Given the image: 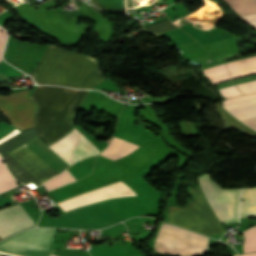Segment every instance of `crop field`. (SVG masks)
Masks as SVG:
<instances>
[{"label": "crop field", "mask_w": 256, "mask_h": 256, "mask_svg": "<svg viewBox=\"0 0 256 256\" xmlns=\"http://www.w3.org/2000/svg\"><path fill=\"white\" fill-rule=\"evenodd\" d=\"M240 216H256V188L243 189Z\"/></svg>", "instance_id": "obj_13"}, {"label": "crop field", "mask_w": 256, "mask_h": 256, "mask_svg": "<svg viewBox=\"0 0 256 256\" xmlns=\"http://www.w3.org/2000/svg\"><path fill=\"white\" fill-rule=\"evenodd\" d=\"M87 93L62 87L37 86L31 96L37 107L35 130L48 145L71 131Z\"/></svg>", "instance_id": "obj_1"}, {"label": "crop field", "mask_w": 256, "mask_h": 256, "mask_svg": "<svg viewBox=\"0 0 256 256\" xmlns=\"http://www.w3.org/2000/svg\"><path fill=\"white\" fill-rule=\"evenodd\" d=\"M137 147L138 146L131 144L129 142H126V141L114 136L111 143L109 144V146L103 152H101L99 155L109 158V159H112V160H115L117 158L125 156L126 154L130 153Z\"/></svg>", "instance_id": "obj_12"}, {"label": "crop field", "mask_w": 256, "mask_h": 256, "mask_svg": "<svg viewBox=\"0 0 256 256\" xmlns=\"http://www.w3.org/2000/svg\"><path fill=\"white\" fill-rule=\"evenodd\" d=\"M38 84H55L92 89L105 76L100 74L96 59L64 51L49 45L31 75Z\"/></svg>", "instance_id": "obj_2"}, {"label": "crop field", "mask_w": 256, "mask_h": 256, "mask_svg": "<svg viewBox=\"0 0 256 256\" xmlns=\"http://www.w3.org/2000/svg\"><path fill=\"white\" fill-rule=\"evenodd\" d=\"M241 16L256 12V0H225Z\"/></svg>", "instance_id": "obj_15"}, {"label": "crop field", "mask_w": 256, "mask_h": 256, "mask_svg": "<svg viewBox=\"0 0 256 256\" xmlns=\"http://www.w3.org/2000/svg\"><path fill=\"white\" fill-rule=\"evenodd\" d=\"M51 256H58V255H55V254H53V253H52V255H51Z\"/></svg>", "instance_id": "obj_28"}, {"label": "crop field", "mask_w": 256, "mask_h": 256, "mask_svg": "<svg viewBox=\"0 0 256 256\" xmlns=\"http://www.w3.org/2000/svg\"><path fill=\"white\" fill-rule=\"evenodd\" d=\"M237 87L243 94L254 93L256 92V80L244 84H238Z\"/></svg>", "instance_id": "obj_19"}, {"label": "crop field", "mask_w": 256, "mask_h": 256, "mask_svg": "<svg viewBox=\"0 0 256 256\" xmlns=\"http://www.w3.org/2000/svg\"><path fill=\"white\" fill-rule=\"evenodd\" d=\"M219 92L224 97H232V96L242 95L235 86L219 89Z\"/></svg>", "instance_id": "obj_20"}, {"label": "crop field", "mask_w": 256, "mask_h": 256, "mask_svg": "<svg viewBox=\"0 0 256 256\" xmlns=\"http://www.w3.org/2000/svg\"><path fill=\"white\" fill-rule=\"evenodd\" d=\"M1 6V5H0ZM5 9L4 8H2V7H0V12H2V11H4Z\"/></svg>", "instance_id": "obj_27"}, {"label": "crop field", "mask_w": 256, "mask_h": 256, "mask_svg": "<svg viewBox=\"0 0 256 256\" xmlns=\"http://www.w3.org/2000/svg\"><path fill=\"white\" fill-rule=\"evenodd\" d=\"M207 237L196 235L173 225H161L154 252L172 256H190L205 251Z\"/></svg>", "instance_id": "obj_4"}, {"label": "crop field", "mask_w": 256, "mask_h": 256, "mask_svg": "<svg viewBox=\"0 0 256 256\" xmlns=\"http://www.w3.org/2000/svg\"><path fill=\"white\" fill-rule=\"evenodd\" d=\"M5 39H6V33L2 28H0V60L2 59L1 54H2L4 43H5Z\"/></svg>", "instance_id": "obj_21"}, {"label": "crop field", "mask_w": 256, "mask_h": 256, "mask_svg": "<svg viewBox=\"0 0 256 256\" xmlns=\"http://www.w3.org/2000/svg\"><path fill=\"white\" fill-rule=\"evenodd\" d=\"M241 122L256 131V117L250 118L248 120H243Z\"/></svg>", "instance_id": "obj_22"}, {"label": "crop field", "mask_w": 256, "mask_h": 256, "mask_svg": "<svg viewBox=\"0 0 256 256\" xmlns=\"http://www.w3.org/2000/svg\"><path fill=\"white\" fill-rule=\"evenodd\" d=\"M189 189L196 200L188 207H168L169 221L204 234L222 233L220 222L209 208L201 188Z\"/></svg>", "instance_id": "obj_3"}, {"label": "crop field", "mask_w": 256, "mask_h": 256, "mask_svg": "<svg viewBox=\"0 0 256 256\" xmlns=\"http://www.w3.org/2000/svg\"><path fill=\"white\" fill-rule=\"evenodd\" d=\"M202 72L206 75V77L211 81L213 85L231 79L225 67V64L206 69Z\"/></svg>", "instance_id": "obj_14"}, {"label": "crop field", "mask_w": 256, "mask_h": 256, "mask_svg": "<svg viewBox=\"0 0 256 256\" xmlns=\"http://www.w3.org/2000/svg\"><path fill=\"white\" fill-rule=\"evenodd\" d=\"M71 181H74V178L71 176V174L66 169L64 172H62L59 176H57L55 179L43 184L44 187L47 189V191L59 187L61 185H64L66 183H69Z\"/></svg>", "instance_id": "obj_17"}, {"label": "crop field", "mask_w": 256, "mask_h": 256, "mask_svg": "<svg viewBox=\"0 0 256 256\" xmlns=\"http://www.w3.org/2000/svg\"><path fill=\"white\" fill-rule=\"evenodd\" d=\"M55 230L29 229L1 242L0 251L25 256H49Z\"/></svg>", "instance_id": "obj_5"}, {"label": "crop field", "mask_w": 256, "mask_h": 256, "mask_svg": "<svg viewBox=\"0 0 256 256\" xmlns=\"http://www.w3.org/2000/svg\"><path fill=\"white\" fill-rule=\"evenodd\" d=\"M239 256H256V253L244 254V255H239Z\"/></svg>", "instance_id": "obj_26"}, {"label": "crop field", "mask_w": 256, "mask_h": 256, "mask_svg": "<svg viewBox=\"0 0 256 256\" xmlns=\"http://www.w3.org/2000/svg\"><path fill=\"white\" fill-rule=\"evenodd\" d=\"M205 196L221 223L238 220L241 188L221 190L208 175L199 177Z\"/></svg>", "instance_id": "obj_6"}, {"label": "crop field", "mask_w": 256, "mask_h": 256, "mask_svg": "<svg viewBox=\"0 0 256 256\" xmlns=\"http://www.w3.org/2000/svg\"><path fill=\"white\" fill-rule=\"evenodd\" d=\"M232 85H233V83H232V81H230V82H227V83L218 85V86H219L220 88H223V87H228V86H232Z\"/></svg>", "instance_id": "obj_25"}, {"label": "crop field", "mask_w": 256, "mask_h": 256, "mask_svg": "<svg viewBox=\"0 0 256 256\" xmlns=\"http://www.w3.org/2000/svg\"><path fill=\"white\" fill-rule=\"evenodd\" d=\"M232 79L256 74V56L227 63Z\"/></svg>", "instance_id": "obj_11"}, {"label": "crop field", "mask_w": 256, "mask_h": 256, "mask_svg": "<svg viewBox=\"0 0 256 256\" xmlns=\"http://www.w3.org/2000/svg\"><path fill=\"white\" fill-rule=\"evenodd\" d=\"M0 111L9 118L15 127L21 130L33 127L34 106L27 90L0 96Z\"/></svg>", "instance_id": "obj_7"}, {"label": "crop field", "mask_w": 256, "mask_h": 256, "mask_svg": "<svg viewBox=\"0 0 256 256\" xmlns=\"http://www.w3.org/2000/svg\"><path fill=\"white\" fill-rule=\"evenodd\" d=\"M223 107L239 121L256 116V93L223 100Z\"/></svg>", "instance_id": "obj_10"}, {"label": "crop field", "mask_w": 256, "mask_h": 256, "mask_svg": "<svg viewBox=\"0 0 256 256\" xmlns=\"http://www.w3.org/2000/svg\"><path fill=\"white\" fill-rule=\"evenodd\" d=\"M245 236L244 252L256 251V226L243 232Z\"/></svg>", "instance_id": "obj_18"}, {"label": "crop field", "mask_w": 256, "mask_h": 256, "mask_svg": "<svg viewBox=\"0 0 256 256\" xmlns=\"http://www.w3.org/2000/svg\"><path fill=\"white\" fill-rule=\"evenodd\" d=\"M20 204L0 211V237L1 239L15 233L16 231L33 226Z\"/></svg>", "instance_id": "obj_9"}, {"label": "crop field", "mask_w": 256, "mask_h": 256, "mask_svg": "<svg viewBox=\"0 0 256 256\" xmlns=\"http://www.w3.org/2000/svg\"><path fill=\"white\" fill-rule=\"evenodd\" d=\"M17 187L15 179L6 169L2 159L0 158V193Z\"/></svg>", "instance_id": "obj_16"}, {"label": "crop field", "mask_w": 256, "mask_h": 256, "mask_svg": "<svg viewBox=\"0 0 256 256\" xmlns=\"http://www.w3.org/2000/svg\"><path fill=\"white\" fill-rule=\"evenodd\" d=\"M48 147L70 165L99 152L75 127L64 138Z\"/></svg>", "instance_id": "obj_8"}, {"label": "crop field", "mask_w": 256, "mask_h": 256, "mask_svg": "<svg viewBox=\"0 0 256 256\" xmlns=\"http://www.w3.org/2000/svg\"><path fill=\"white\" fill-rule=\"evenodd\" d=\"M243 17L256 26V14H251Z\"/></svg>", "instance_id": "obj_23"}, {"label": "crop field", "mask_w": 256, "mask_h": 256, "mask_svg": "<svg viewBox=\"0 0 256 256\" xmlns=\"http://www.w3.org/2000/svg\"><path fill=\"white\" fill-rule=\"evenodd\" d=\"M235 256H237V255H235Z\"/></svg>", "instance_id": "obj_29"}, {"label": "crop field", "mask_w": 256, "mask_h": 256, "mask_svg": "<svg viewBox=\"0 0 256 256\" xmlns=\"http://www.w3.org/2000/svg\"><path fill=\"white\" fill-rule=\"evenodd\" d=\"M254 79H256V76H251V77L234 80V83L238 84V83H242V82H246V81H250V80H254Z\"/></svg>", "instance_id": "obj_24"}]
</instances>
